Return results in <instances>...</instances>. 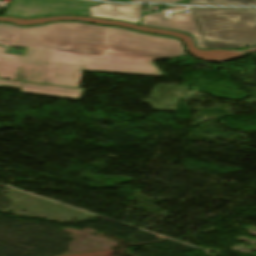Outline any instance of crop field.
Segmentation results:
<instances>
[{"mask_svg":"<svg viewBox=\"0 0 256 256\" xmlns=\"http://www.w3.org/2000/svg\"><path fill=\"white\" fill-rule=\"evenodd\" d=\"M0 44L27 47L25 56L0 47V78L41 83L47 63L83 65L92 72L160 76L152 61L185 56L179 39L118 27L56 22L34 27L0 23Z\"/></svg>","mask_w":256,"mask_h":256,"instance_id":"crop-field-1","label":"crop field"},{"mask_svg":"<svg viewBox=\"0 0 256 256\" xmlns=\"http://www.w3.org/2000/svg\"><path fill=\"white\" fill-rule=\"evenodd\" d=\"M192 10L205 48L232 49L256 44V9Z\"/></svg>","mask_w":256,"mask_h":256,"instance_id":"crop-field-2","label":"crop field"},{"mask_svg":"<svg viewBox=\"0 0 256 256\" xmlns=\"http://www.w3.org/2000/svg\"><path fill=\"white\" fill-rule=\"evenodd\" d=\"M99 4L82 0H13L6 15L33 18L53 15H85L89 5Z\"/></svg>","mask_w":256,"mask_h":256,"instance_id":"crop-field-3","label":"crop field"},{"mask_svg":"<svg viewBox=\"0 0 256 256\" xmlns=\"http://www.w3.org/2000/svg\"><path fill=\"white\" fill-rule=\"evenodd\" d=\"M142 25L185 31L197 39L198 48H203L198 27L191 9H189V14H171L169 20H164V14H150L144 16Z\"/></svg>","mask_w":256,"mask_h":256,"instance_id":"crop-field-4","label":"crop field"},{"mask_svg":"<svg viewBox=\"0 0 256 256\" xmlns=\"http://www.w3.org/2000/svg\"><path fill=\"white\" fill-rule=\"evenodd\" d=\"M83 66L48 64L43 83L77 88Z\"/></svg>","mask_w":256,"mask_h":256,"instance_id":"crop-field-5","label":"crop field"},{"mask_svg":"<svg viewBox=\"0 0 256 256\" xmlns=\"http://www.w3.org/2000/svg\"><path fill=\"white\" fill-rule=\"evenodd\" d=\"M143 5H98L89 7L90 15L93 17L123 20L138 24Z\"/></svg>","mask_w":256,"mask_h":256,"instance_id":"crop-field-6","label":"crop field"},{"mask_svg":"<svg viewBox=\"0 0 256 256\" xmlns=\"http://www.w3.org/2000/svg\"><path fill=\"white\" fill-rule=\"evenodd\" d=\"M84 90L24 83L19 93L80 100Z\"/></svg>","mask_w":256,"mask_h":256,"instance_id":"crop-field-7","label":"crop field"},{"mask_svg":"<svg viewBox=\"0 0 256 256\" xmlns=\"http://www.w3.org/2000/svg\"><path fill=\"white\" fill-rule=\"evenodd\" d=\"M197 5H256V0H189Z\"/></svg>","mask_w":256,"mask_h":256,"instance_id":"crop-field-8","label":"crop field"},{"mask_svg":"<svg viewBox=\"0 0 256 256\" xmlns=\"http://www.w3.org/2000/svg\"><path fill=\"white\" fill-rule=\"evenodd\" d=\"M22 85L23 83L21 82L0 80V87H10V88L21 89Z\"/></svg>","mask_w":256,"mask_h":256,"instance_id":"crop-field-9","label":"crop field"},{"mask_svg":"<svg viewBox=\"0 0 256 256\" xmlns=\"http://www.w3.org/2000/svg\"><path fill=\"white\" fill-rule=\"evenodd\" d=\"M130 1L177 2V1H179V0H130Z\"/></svg>","mask_w":256,"mask_h":256,"instance_id":"crop-field-10","label":"crop field"}]
</instances>
